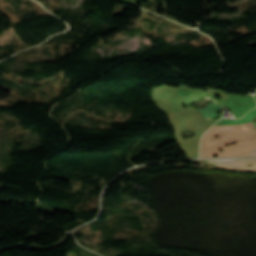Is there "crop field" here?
I'll list each match as a JSON object with an SVG mask.
<instances>
[{
	"label": "crop field",
	"instance_id": "2",
	"mask_svg": "<svg viewBox=\"0 0 256 256\" xmlns=\"http://www.w3.org/2000/svg\"><path fill=\"white\" fill-rule=\"evenodd\" d=\"M212 118H209V119H207V120H211Z\"/></svg>",
	"mask_w": 256,
	"mask_h": 256
},
{
	"label": "crop field",
	"instance_id": "1",
	"mask_svg": "<svg viewBox=\"0 0 256 256\" xmlns=\"http://www.w3.org/2000/svg\"><path fill=\"white\" fill-rule=\"evenodd\" d=\"M215 135H219L215 139ZM256 140V129L252 122L236 126H213L203 135L201 146L225 145L233 141ZM230 146L201 147L200 157H241L256 156V141L235 142ZM222 147L223 152L218 148Z\"/></svg>",
	"mask_w": 256,
	"mask_h": 256
}]
</instances>
